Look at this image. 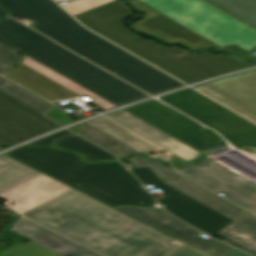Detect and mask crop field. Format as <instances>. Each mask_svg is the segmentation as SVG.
Segmentation results:
<instances>
[{"label": "crop field", "instance_id": "d1516ede", "mask_svg": "<svg viewBox=\"0 0 256 256\" xmlns=\"http://www.w3.org/2000/svg\"><path fill=\"white\" fill-rule=\"evenodd\" d=\"M11 231L31 238L28 243L15 244L0 256H100L23 217Z\"/></svg>", "mask_w": 256, "mask_h": 256}, {"label": "crop field", "instance_id": "e1f06a70", "mask_svg": "<svg viewBox=\"0 0 256 256\" xmlns=\"http://www.w3.org/2000/svg\"><path fill=\"white\" fill-rule=\"evenodd\" d=\"M56 1H66V0H56Z\"/></svg>", "mask_w": 256, "mask_h": 256}, {"label": "crop field", "instance_id": "a9b5d70f", "mask_svg": "<svg viewBox=\"0 0 256 256\" xmlns=\"http://www.w3.org/2000/svg\"><path fill=\"white\" fill-rule=\"evenodd\" d=\"M215 235L223 238L226 242L236 247H239L256 256V237L255 236L231 224Z\"/></svg>", "mask_w": 256, "mask_h": 256}, {"label": "crop field", "instance_id": "3316defc", "mask_svg": "<svg viewBox=\"0 0 256 256\" xmlns=\"http://www.w3.org/2000/svg\"><path fill=\"white\" fill-rule=\"evenodd\" d=\"M178 172L256 214V184L208 158Z\"/></svg>", "mask_w": 256, "mask_h": 256}, {"label": "crop field", "instance_id": "412701ff", "mask_svg": "<svg viewBox=\"0 0 256 256\" xmlns=\"http://www.w3.org/2000/svg\"><path fill=\"white\" fill-rule=\"evenodd\" d=\"M8 154L110 206L150 207L155 203L119 163L90 166L78 162L73 153L42 147L20 148Z\"/></svg>", "mask_w": 256, "mask_h": 256}, {"label": "crop field", "instance_id": "5a996713", "mask_svg": "<svg viewBox=\"0 0 256 256\" xmlns=\"http://www.w3.org/2000/svg\"><path fill=\"white\" fill-rule=\"evenodd\" d=\"M131 171L144 185L151 184L169 195L158 200L166 206L165 210L211 236L233 221L161 183L160 177L148 166Z\"/></svg>", "mask_w": 256, "mask_h": 256}, {"label": "crop field", "instance_id": "bc2a9ffb", "mask_svg": "<svg viewBox=\"0 0 256 256\" xmlns=\"http://www.w3.org/2000/svg\"><path fill=\"white\" fill-rule=\"evenodd\" d=\"M139 24L148 29L159 30L171 37L184 38L193 44L205 39L161 13Z\"/></svg>", "mask_w": 256, "mask_h": 256}, {"label": "crop field", "instance_id": "4a817a6b", "mask_svg": "<svg viewBox=\"0 0 256 256\" xmlns=\"http://www.w3.org/2000/svg\"><path fill=\"white\" fill-rule=\"evenodd\" d=\"M87 123L140 152L149 151L158 147L155 144L149 142L148 140L140 137L139 135L110 121L104 116Z\"/></svg>", "mask_w": 256, "mask_h": 256}, {"label": "crop field", "instance_id": "d9b57169", "mask_svg": "<svg viewBox=\"0 0 256 256\" xmlns=\"http://www.w3.org/2000/svg\"><path fill=\"white\" fill-rule=\"evenodd\" d=\"M163 183L233 219L232 224L256 235V219L246 215L247 211L228 202L189 179L164 180Z\"/></svg>", "mask_w": 256, "mask_h": 256}, {"label": "crop field", "instance_id": "d3111659", "mask_svg": "<svg viewBox=\"0 0 256 256\" xmlns=\"http://www.w3.org/2000/svg\"><path fill=\"white\" fill-rule=\"evenodd\" d=\"M46 116L54 119L62 125L71 122L69 117L55 106L47 112Z\"/></svg>", "mask_w": 256, "mask_h": 256}, {"label": "crop field", "instance_id": "4177f3b9", "mask_svg": "<svg viewBox=\"0 0 256 256\" xmlns=\"http://www.w3.org/2000/svg\"><path fill=\"white\" fill-rule=\"evenodd\" d=\"M66 150H76L80 151L88 156L90 161H95L98 159H105V160H114L116 159L113 155L97 148L96 146L90 144L89 142L76 137H67L56 145Z\"/></svg>", "mask_w": 256, "mask_h": 256}, {"label": "crop field", "instance_id": "5866460e", "mask_svg": "<svg viewBox=\"0 0 256 256\" xmlns=\"http://www.w3.org/2000/svg\"><path fill=\"white\" fill-rule=\"evenodd\" d=\"M70 130H72L74 132V131H76L78 129H77V126H76V127L70 128Z\"/></svg>", "mask_w": 256, "mask_h": 256}, {"label": "crop field", "instance_id": "bd1437ed", "mask_svg": "<svg viewBox=\"0 0 256 256\" xmlns=\"http://www.w3.org/2000/svg\"><path fill=\"white\" fill-rule=\"evenodd\" d=\"M171 256H204V255L184 246L183 248H181L179 251H177Z\"/></svg>", "mask_w": 256, "mask_h": 256}, {"label": "crop field", "instance_id": "214f88e0", "mask_svg": "<svg viewBox=\"0 0 256 256\" xmlns=\"http://www.w3.org/2000/svg\"><path fill=\"white\" fill-rule=\"evenodd\" d=\"M77 134L105 148L118 158L139 153L86 123L80 125V131Z\"/></svg>", "mask_w": 256, "mask_h": 256}, {"label": "crop field", "instance_id": "1d83c4d3", "mask_svg": "<svg viewBox=\"0 0 256 256\" xmlns=\"http://www.w3.org/2000/svg\"><path fill=\"white\" fill-rule=\"evenodd\" d=\"M12 69H10L8 66H6L4 63L0 61V74L7 77L8 74L11 72Z\"/></svg>", "mask_w": 256, "mask_h": 256}, {"label": "crop field", "instance_id": "d8731c3e", "mask_svg": "<svg viewBox=\"0 0 256 256\" xmlns=\"http://www.w3.org/2000/svg\"><path fill=\"white\" fill-rule=\"evenodd\" d=\"M124 110L198 152L221 145L223 141L209 129L156 100Z\"/></svg>", "mask_w": 256, "mask_h": 256}, {"label": "crop field", "instance_id": "f4fd0767", "mask_svg": "<svg viewBox=\"0 0 256 256\" xmlns=\"http://www.w3.org/2000/svg\"><path fill=\"white\" fill-rule=\"evenodd\" d=\"M0 39L117 106L148 96L12 18L0 21Z\"/></svg>", "mask_w": 256, "mask_h": 256}, {"label": "crop field", "instance_id": "eef30255", "mask_svg": "<svg viewBox=\"0 0 256 256\" xmlns=\"http://www.w3.org/2000/svg\"><path fill=\"white\" fill-rule=\"evenodd\" d=\"M137 167H142L148 165L153 171H155L161 178H174V177H182L175 172L165 168L159 163L149 160L143 156L132 158Z\"/></svg>", "mask_w": 256, "mask_h": 256}, {"label": "crop field", "instance_id": "92a150f3", "mask_svg": "<svg viewBox=\"0 0 256 256\" xmlns=\"http://www.w3.org/2000/svg\"><path fill=\"white\" fill-rule=\"evenodd\" d=\"M256 28V0H207Z\"/></svg>", "mask_w": 256, "mask_h": 256}, {"label": "crop field", "instance_id": "120bbe31", "mask_svg": "<svg viewBox=\"0 0 256 256\" xmlns=\"http://www.w3.org/2000/svg\"><path fill=\"white\" fill-rule=\"evenodd\" d=\"M224 256H249L237 249L232 250L231 252H229L228 254L224 255Z\"/></svg>", "mask_w": 256, "mask_h": 256}, {"label": "crop field", "instance_id": "dd49c442", "mask_svg": "<svg viewBox=\"0 0 256 256\" xmlns=\"http://www.w3.org/2000/svg\"><path fill=\"white\" fill-rule=\"evenodd\" d=\"M230 52L256 46V31L204 0H140Z\"/></svg>", "mask_w": 256, "mask_h": 256}, {"label": "crop field", "instance_id": "028f5c9d", "mask_svg": "<svg viewBox=\"0 0 256 256\" xmlns=\"http://www.w3.org/2000/svg\"><path fill=\"white\" fill-rule=\"evenodd\" d=\"M246 214H248V215H250V216L256 218V216H254V215H252V214H250V213H248V212H247Z\"/></svg>", "mask_w": 256, "mask_h": 256}, {"label": "crop field", "instance_id": "dafd665d", "mask_svg": "<svg viewBox=\"0 0 256 256\" xmlns=\"http://www.w3.org/2000/svg\"><path fill=\"white\" fill-rule=\"evenodd\" d=\"M0 90L22 102L40 114H44L52 104L31 94L16 84L0 76Z\"/></svg>", "mask_w": 256, "mask_h": 256}, {"label": "crop field", "instance_id": "cbeb9de0", "mask_svg": "<svg viewBox=\"0 0 256 256\" xmlns=\"http://www.w3.org/2000/svg\"><path fill=\"white\" fill-rule=\"evenodd\" d=\"M59 127L0 91V145L16 144Z\"/></svg>", "mask_w": 256, "mask_h": 256}, {"label": "crop field", "instance_id": "d32e631a", "mask_svg": "<svg viewBox=\"0 0 256 256\" xmlns=\"http://www.w3.org/2000/svg\"><path fill=\"white\" fill-rule=\"evenodd\" d=\"M6 16H8V14H7L4 10H2V9L0 8V19L4 18V17H6Z\"/></svg>", "mask_w": 256, "mask_h": 256}, {"label": "crop field", "instance_id": "00972430", "mask_svg": "<svg viewBox=\"0 0 256 256\" xmlns=\"http://www.w3.org/2000/svg\"><path fill=\"white\" fill-rule=\"evenodd\" d=\"M132 3V6L142 10L145 14H146V17L134 24H132V28L136 31H139V32H142V33H145V34H149V35H153L155 38L163 41V42H167V43H172V44H175V43H178V44H182L186 47H190V48H193V49H197V50H200V49H204V48H207L209 46H211V44L208 42L207 39L193 45L191 43H189L188 41L184 40V39H177V38H171L159 31H153V30H148L140 25H138L137 23L159 13L158 11L152 9L151 7L145 5L144 3L138 1V0H132L130 1ZM160 14V13H159Z\"/></svg>", "mask_w": 256, "mask_h": 256}, {"label": "crop field", "instance_id": "ae1a2a85", "mask_svg": "<svg viewBox=\"0 0 256 256\" xmlns=\"http://www.w3.org/2000/svg\"><path fill=\"white\" fill-rule=\"evenodd\" d=\"M0 60L13 69L19 60V53L0 43Z\"/></svg>", "mask_w": 256, "mask_h": 256}, {"label": "crop field", "instance_id": "8a807250", "mask_svg": "<svg viewBox=\"0 0 256 256\" xmlns=\"http://www.w3.org/2000/svg\"><path fill=\"white\" fill-rule=\"evenodd\" d=\"M0 197L8 200L2 205L106 256H170L184 246L4 155Z\"/></svg>", "mask_w": 256, "mask_h": 256}, {"label": "crop field", "instance_id": "e52e79f7", "mask_svg": "<svg viewBox=\"0 0 256 256\" xmlns=\"http://www.w3.org/2000/svg\"><path fill=\"white\" fill-rule=\"evenodd\" d=\"M160 99L217 130L227 141L256 149V125L194 90H185Z\"/></svg>", "mask_w": 256, "mask_h": 256}, {"label": "crop field", "instance_id": "733c2abd", "mask_svg": "<svg viewBox=\"0 0 256 256\" xmlns=\"http://www.w3.org/2000/svg\"><path fill=\"white\" fill-rule=\"evenodd\" d=\"M107 116L135 130L136 132L140 133L146 138L152 140L153 142L157 143L158 145L162 146L163 148L169 150L170 152L178 155L179 157L187 161L200 155V153L183 145L182 143L176 141L175 139L160 132L159 130L153 128L152 126L146 124L145 122L139 120L138 118L130 115L129 113L123 110L109 114Z\"/></svg>", "mask_w": 256, "mask_h": 256}, {"label": "crop field", "instance_id": "22f410ed", "mask_svg": "<svg viewBox=\"0 0 256 256\" xmlns=\"http://www.w3.org/2000/svg\"><path fill=\"white\" fill-rule=\"evenodd\" d=\"M115 209L155 228L156 230L172 238L183 242L184 244L208 256H222L234 249L213 238L207 240L195 235L197 231L171 217L161 209L132 207H118Z\"/></svg>", "mask_w": 256, "mask_h": 256}, {"label": "crop field", "instance_id": "730fd06b", "mask_svg": "<svg viewBox=\"0 0 256 256\" xmlns=\"http://www.w3.org/2000/svg\"><path fill=\"white\" fill-rule=\"evenodd\" d=\"M113 0H75L63 7L73 16Z\"/></svg>", "mask_w": 256, "mask_h": 256}, {"label": "crop field", "instance_id": "750c4746", "mask_svg": "<svg viewBox=\"0 0 256 256\" xmlns=\"http://www.w3.org/2000/svg\"><path fill=\"white\" fill-rule=\"evenodd\" d=\"M67 133H70L69 131L65 130V131H61L59 133H56L52 136H49L47 138H44L42 140H39V141H36L34 143H31V144H28V145H38V146H50L51 145V142L53 139L57 138V137H60L62 135H65Z\"/></svg>", "mask_w": 256, "mask_h": 256}, {"label": "crop field", "instance_id": "34b2d1b8", "mask_svg": "<svg viewBox=\"0 0 256 256\" xmlns=\"http://www.w3.org/2000/svg\"><path fill=\"white\" fill-rule=\"evenodd\" d=\"M119 0L75 16L82 24L188 84L193 81L250 66L231 56L192 54L164 47L128 32L122 22L132 15Z\"/></svg>", "mask_w": 256, "mask_h": 256}, {"label": "crop field", "instance_id": "5142ce71", "mask_svg": "<svg viewBox=\"0 0 256 256\" xmlns=\"http://www.w3.org/2000/svg\"><path fill=\"white\" fill-rule=\"evenodd\" d=\"M194 88L256 123V70Z\"/></svg>", "mask_w": 256, "mask_h": 256}, {"label": "crop field", "instance_id": "ac0d7876", "mask_svg": "<svg viewBox=\"0 0 256 256\" xmlns=\"http://www.w3.org/2000/svg\"><path fill=\"white\" fill-rule=\"evenodd\" d=\"M0 5L54 41L151 95L183 85L88 31L51 0H0Z\"/></svg>", "mask_w": 256, "mask_h": 256}, {"label": "crop field", "instance_id": "28ad6ade", "mask_svg": "<svg viewBox=\"0 0 256 256\" xmlns=\"http://www.w3.org/2000/svg\"><path fill=\"white\" fill-rule=\"evenodd\" d=\"M10 79L50 100L71 98L85 94L94 99V103L105 110L116 107L27 56L24 57L23 62Z\"/></svg>", "mask_w": 256, "mask_h": 256}]
</instances>
